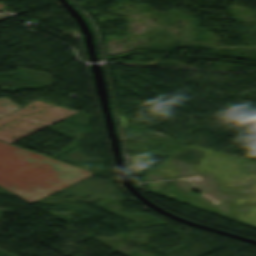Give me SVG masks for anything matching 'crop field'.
<instances>
[{
  "label": "crop field",
  "mask_w": 256,
  "mask_h": 256,
  "mask_svg": "<svg viewBox=\"0 0 256 256\" xmlns=\"http://www.w3.org/2000/svg\"><path fill=\"white\" fill-rule=\"evenodd\" d=\"M20 108L7 97L0 98V117Z\"/></svg>",
  "instance_id": "crop-field-2"
},
{
  "label": "crop field",
  "mask_w": 256,
  "mask_h": 256,
  "mask_svg": "<svg viewBox=\"0 0 256 256\" xmlns=\"http://www.w3.org/2000/svg\"><path fill=\"white\" fill-rule=\"evenodd\" d=\"M3 6H5V5L0 4V8H2Z\"/></svg>",
  "instance_id": "crop-field-4"
},
{
  "label": "crop field",
  "mask_w": 256,
  "mask_h": 256,
  "mask_svg": "<svg viewBox=\"0 0 256 256\" xmlns=\"http://www.w3.org/2000/svg\"><path fill=\"white\" fill-rule=\"evenodd\" d=\"M91 174L0 142V186L30 203Z\"/></svg>",
  "instance_id": "crop-field-1"
},
{
  "label": "crop field",
  "mask_w": 256,
  "mask_h": 256,
  "mask_svg": "<svg viewBox=\"0 0 256 256\" xmlns=\"http://www.w3.org/2000/svg\"><path fill=\"white\" fill-rule=\"evenodd\" d=\"M4 19H7V18L0 16V21L4 20Z\"/></svg>",
  "instance_id": "crop-field-3"
}]
</instances>
